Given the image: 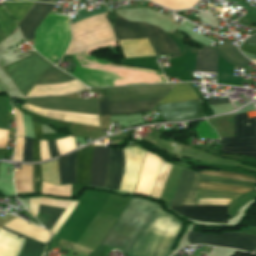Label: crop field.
Listing matches in <instances>:
<instances>
[{"mask_svg": "<svg viewBox=\"0 0 256 256\" xmlns=\"http://www.w3.org/2000/svg\"><path fill=\"white\" fill-rule=\"evenodd\" d=\"M73 40L66 54H73L116 42L114 32L106 19V12L72 24ZM90 51L75 54L74 76L92 87L138 85L167 82L163 74L114 66L89 56Z\"/></svg>", "mask_w": 256, "mask_h": 256, "instance_id": "1", "label": "crop field"}, {"mask_svg": "<svg viewBox=\"0 0 256 256\" xmlns=\"http://www.w3.org/2000/svg\"><path fill=\"white\" fill-rule=\"evenodd\" d=\"M158 206L144 199L131 198L101 245L118 247L127 254ZM181 229L182 224L159 206L127 256H168Z\"/></svg>", "mask_w": 256, "mask_h": 256, "instance_id": "2", "label": "crop field"}, {"mask_svg": "<svg viewBox=\"0 0 256 256\" xmlns=\"http://www.w3.org/2000/svg\"><path fill=\"white\" fill-rule=\"evenodd\" d=\"M199 173L256 181V178L254 177L231 173V172H222V171L213 172V171L204 170ZM200 174H198L199 180H202V181H209V182H216V183H223V184H230V185H237V186H244V187H251V188L256 187V182L228 179V178H221V177H214V176H207V175H200ZM202 181H199V189H203V190L222 191V192H231V193H240V194H244L252 190L251 188H244V187H237V186H230V185H223V184H216V183H209V182H202ZM196 193H197V175L191 171L183 169L181 176L179 178L175 193L173 195L171 204L172 205H195ZM200 205H227L228 206V199H200Z\"/></svg>", "mask_w": 256, "mask_h": 256, "instance_id": "3", "label": "crop field"}, {"mask_svg": "<svg viewBox=\"0 0 256 256\" xmlns=\"http://www.w3.org/2000/svg\"><path fill=\"white\" fill-rule=\"evenodd\" d=\"M176 84L106 88L99 102L100 116L150 111Z\"/></svg>", "mask_w": 256, "mask_h": 256, "instance_id": "4", "label": "crop field"}, {"mask_svg": "<svg viewBox=\"0 0 256 256\" xmlns=\"http://www.w3.org/2000/svg\"><path fill=\"white\" fill-rule=\"evenodd\" d=\"M25 100L28 104L44 109L98 115L97 102L95 101L52 97L25 98ZM28 104H25L22 107L41 116H47L56 120L77 122L85 125L99 126L98 116L43 110Z\"/></svg>", "mask_w": 256, "mask_h": 256, "instance_id": "5", "label": "crop field"}, {"mask_svg": "<svg viewBox=\"0 0 256 256\" xmlns=\"http://www.w3.org/2000/svg\"><path fill=\"white\" fill-rule=\"evenodd\" d=\"M70 40L68 17L49 13L36 30L34 48L54 63L61 59Z\"/></svg>", "mask_w": 256, "mask_h": 256, "instance_id": "6", "label": "crop field"}, {"mask_svg": "<svg viewBox=\"0 0 256 256\" xmlns=\"http://www.w3.org/2000/svg\"><path fill=\"white\" fill-rule=\"evenodd\" d=\"M221 152L241 154L256 158V118L248 119L247 113L235 115V137L221 138Z\"/></svg>", "mask_w": 256, "mask_h": 256, "instance_id": "7", "label": "crop field"}, {"mask_svg": "<svg viewBox=\"0 0 256 256\" xmlns=\"http://www.w3.org/2000/svg\"><path fill=\"white\" fill-rule=\"evenodd\" d=\"M114 31L118 40L146 38L141 24L116 16ZM126 58L156 55L147 39L118 41Z\"/></svg>", "mask_w": 256, "mask_h": 256, "instance_id": "8", "label": "crop field"}, {"mask_svg": "<svg viewBox=\"0 0 256 256\" xmlns=\"http://www.w3.org/2000/svg\"><path fill=\"white\" fill-rule=\"evenodd\" d=\"M56 68L51 67L37 84H53L74 80V78ZM84 88L86 87L77 80L63 84L35 85L27 96L68 94Z\"/></svg>", "mask_w": 256, "mask_h": 256, "instance_id": "9", "label": "crop field"}, {"mask_svg": "<svg viewBox=\"0 0 256 256\" xmlns=\"http://www.w3.org/2000/svg\"><path fill=\"white\" fill-rule=\"evenodd\" d=\"M191 244H207L213 246L232 247L253 252L256 248V237L240 234L196 235L189 234Z\"/></svg>", "mask_w": 256, "mask_h": 256, "instance_id": "10", "label": "crop field"}, {"mask_svg": "<svg viewBox=\"0 0 256 256\" xmlns=\"http://www.w3.org/2000/svg\"><path fill=\"white\" fill-rule=\"evenodd\" d=\"M167 205V204H166ZM168 210L172 211L183 219H193L198 221L212 222V223H227V211L226 207H214V206H169ZM179 214L188 217L185 218ZM192 221V220H190Z\"/></svg>", "mask_w": 256, "mask_h": 256, "instance_id": "11", "label": "crop field"}, {"mask_svg": "<svg viewBox=\"0 0 256 256\" xmlns=\"http://www.w3.org/2000/svg\"><path fill=\"white\" fill-rule=\"evenodd\" d=\"M123 152L125 171L119 190L133 193L146 152L137 147H126Z\"/></svg>", "mask_w": 256, "mask_h": 256, "instance_id": "12", "label": "crop field"}, {"mask_svg": "<svg viewBox=\"0 0 256 256\" xmlns=\"http://www.w3.org/2000/svg\"><path fill=\"white\" fill-rule=\"evenodd\" d=\"M162 161L163 159L156 155L150 153L146 154L135 193L151 195L156 175Z\"/></svg>", "mask_w": 256, "mask_h": 256, "instance_id": "13", "label": "crop field"}, {"mask_svg": "<svg viewBox=\"0 0 256 256\" xmlns=\"http://www.w3.org/2000/svg\"><path fill=\"white\" fill-rule=\"evenodd\" d=\"M53 5L35 2L18 25L24 38L34 39L35 30L50 12Z\"/></svg>", "mask_w": 256, "mask_h": 256, "instance_id": "14", "label": "crop field"}, {"mask_svg": "<svg viewBox=\"0 0 256 256\" xmlns=\"http://www.w3.org/2000/svg\"><path fill=\"white\" fill-rule=\"evenodd\" d=\"M110 150V148L94 147L90 185L104 187Z\"/></svg>", "mask_w": 256, "mask_h": 256, "instance_id": "15", "label": "crop field"}, {"mask_svg": "<svg viewBox=\"0 0 256 256\" xmlns=\"http://www.w3.org/2000/svg\"><path fill=\"white\" fill-rule=\"evenodd\" d=\"M141 24L157 55L168 53H175L176 57L181 55L176 44L164 31L145 23Z\"/></svg>", "mask_w": 256, "mask_h": 256, "instance_id": "16", "label": "crop field"}, {"mask_svg": "<svg viewBox=\"0 0 256 256\" xmlns=\"http://www.w3.org/2000/svg\"><path fill=\"white\" fill-rule=\"evenodd\" d=\"M124 171L122 150H111L108 176L105 188L118 190Z\"/></svg>", "mask_w": 256, "mask_h": 256, "instance_id": "17", "label": "crop field"}, {"mask_svg": "<svg viewBox=\"0 0 256 256\" xmlns=\"http://www.w3.org/2000/svg\"><path fill=\"white\" fill-rule=\"evenodd\" d=\"M4 226L18 233H21L25 236H28L30 238L43 242L45 244L50 238V233L48 231L41 229L39 227L30 225L18 217L5 223Z\"/></svg>", "mask_w": 256, "mask_h": 256, "instance_id": "18", "label": "crop field"}, {"mask_svg": "<svg viewBox=\"0 0 256 256\" xmlns=\"http://www.w3.org/2000/svg\"><path fill=\"white\" fill-rule=\"evenodd\" d=\"M93 147L88 146L77 151L76 183L89 185Z\"/></svg>", "mask_w": 256, "mask_h": 256, "instance_id": "19", "label": "crop field"}, {"mask_svg": "<svg viewBox=\"0 0 256 256\" xmlns=\"http://www.w3.org/2000/svg\"><path fill=\"white\" fill-rule=\"evenodd\" d=\"M161 117L203 110L199 100L156 106Z\"/></svg>", "mask_w": 256, "mask_h": 256, "instance_id": "20", "label": "crop field"}, {"mask_svg": "<svg viewBox=\"0 0 256 256\" xmlns=\"http://www.w3.org/2000/svg\"><path fill=\"white\" fill-rule=\"evenodd\" d=\"M60 185L75 183L76 152L58 160Z\"/></svg>", "mask_w": 256, "mask_h": 256, "instance_id": "21", "label": "crop field"}, {"mask_svg": "<svg viewBox=\"0 0 256 256\" xmlns=\"http://www.w3.org/2000/svg\"><path fill=\"white\" fill-rule=\"evenodd\" d=\"M218 54L204 46L203 51L198 50L195 71L216 73Z\"/></svg>", "mask_w": 256, "mask_h": 256, "instance_id": "22", "label": "crop field"}, {"mask_svg": "<svg viewBox=\"0 0 256 256\" xmlns=\"http://www.w3.org/2000/svg\"><path fill=\"white\" fill-rule=\"evenodd\" d=\"M195 99H198V97L194 92L193 88L188 83H180V84H177L170 91V93L163 100L159 102V104L195 100Z\"/></svg>", "mask_w": 256, "mask_h": 256, "instance_id": "23", "label": "crop field"}, {"mask_svg": "<svg viewBox=\"0 0 256 256\" xmlns=\"http://www.w3.org/2000/svg\"><path fill=\"white\" fill-rule=\"evenodd\" d=\"M215 50L225 60L236 66L244 68L250 61L246 59L239 51H237L229 41L224 42Z\"/></svg>", "mask_w": 256, "mask_h": 256, "instance_id": "24", "label": "crop field"}, {"mask_svg": "<svg viewBox=\"0 0 256 256\" xmlns=\"http://www.w3.org/2000/svg\"><path fill=\"white\" fill-rule=\"evenodd\" d=\"M16 192H33L32 165H22V170L15 169Z\"/></svg>", "mask_w": 256, "mask_h": 256, "instance_id": "25", "label": "crop field"}, {"mask_svg": "<svg viewBox=\"0 0 256 256\" xmlns=\"http://www.w3.org/2000/svg\"><path fill=\"white\" fill-rule=\"evenodd\" d=\"M3 229L8 231V232H11V233H13L17 236H20V237L26 239L19 256H40L41 251H42L43 246H44L43 244H41L37 241H34V240H32L28 237H25L21 234H18L14 231H11L9 229H6V228H3Z\"/></svg>", "mask_w": 256, "mask_h": 256, "instance_id": "26", "label": "crop field"}, {"mask_svg": "<svg viewBox=\"0 0 256 256\" xmlns=\"http://www.w3.org/2000/svg\"><path fill=\"white\" fill-rule=\"evenodd\" d=\"M33 4L34 2H8L6 6L19 24Z\"/></svg>", "mask_w": 256, "mask_h": 256, "instance_id": "27", "label": "crop field"}, {"mask_svg": "<svg viewBox=\"0 0 256 256\" xmlns=\"http://www.w3.org/2000/svg\"><path fill=\"white\" fill-rule=\"evenodd\" d=\"M41 165L43 181L59 185L57 160L54 162H48Z\"/></svg>", "mask_w": 256, "mask_h": 256, "instance_id": "28", "label": "crop field"}, {"mask_svg": "<svg viewBox=\"0 0 256 256\" xmlns=\"http://www.w3.org/2000/svg\"><path fill=\"white\" fill-rule=\"evenodd\" d=\"M70 190L71 186L58 187L42 182L41 193L55 196L70 197Z\"/></svg>", "mask_w": 256, "mask_h": 256, "instance_id": "29", "label": "crop field"}, {"mask_svg": "<svg viewBox=\"0 0 256 256\" xmlns=\"http://www.w3.org/2000/svg\"><path fill=\"white\" fill-rule=\"evenodd\" d=\"M39 211L51 215L45 224V227L50 230L64 209L40 205Z\"/></svg>", "mask_w": 256, "mask_h": 256, "instance_id": "30", "label": "crop field"}, {"mask_svg": "<svg viewBox=\"0 0 256 256\" xmlns=\"http://www.w3.org/2000/svg\"><path fill=\"white\" fill-rule=\"evenodd\" d=\"M0 26L8 36L13 29L17 26L4 7H0Z\"/></svg>", "mask_w": 256, "mask_h": 256, "instance_id": "31", "label": "crop field"}, {"mask_svg": "<svg viewBox=\"0 0 256 256\" xmlns=\"http://www.w3.org/2000/svg\"><path fill=\"white\" fill-rule=\"evenodd\" d=\"M197 133L200 138L218 139L216 131L208 124L207 120L201 122V124L197 128Z\"/></svg>", "mask_w": 256, "mask_h": 256, "instance_id": "32", "label": "crop field"}, {"mask_svg": "<svg viewBox=\"0 0 256 256\" xmlns=\"http://www.w3.org/2000/svg\"><path fill=\"white\" fill-rule=\"evenodd\" d=\"M78 201H72V203L65 209L63 214L60 216L58 221L55 223V225L50 230L52 232V235L56 234L57 231L60 229L62 224L65 222V220L68 218V216L71 214V212L74 210L75 206L77 205Z\"/></svg>", "mask_w": 256, "mask_h": 256, "instance_id": "33", "label": "crop field"}, {"mask_svg": "<svg viewBox=\"0 0 256 256\" xmlns=\"http://www.w3.org/2000/svg\"><path fill=\"white\" fill-rule=\"evenodd\" d=\"M56 142L60 155L65 154L76 148L74 144V137L69 136L67 138L58 139L56 140Z\"/></svg>", "mask_w": 256, "mask_h": 256, "instance_id": "34", "label": "crop field"}, {"mask_svg": "<svg viewBox=\"0 0 256 256\" xmlns=\"http://www.w3.org/2000/svg\"><path fill=\"white\" fill-rule=\"evenodd\" d=\"M201 117H204L203 111L189 113V114H183V115H177V116H171V117H165L162 119H163V121H183V120H190V119H196V118H201Z\"/></svg>", "mask_w": 256, "mask_h": 256, "instance_id": "35", "label": "crop field"}, {"mask_svg": "<svg viewBox=\"0 0 256 256\" xmlns=\"http://www.w3.org/2000/svg\"><path fill=\"white\" fill-rule=\"evenodd\" d=\"M32 142H33V139L24 137L23 161L25 162H33L32 161Z\"/></svg>", "mask_w": 256, "mask_h": 256, "instance_id": "36", "label": "crop field"}, {"mask_svg": "<svg viewBox=\"0 0 256 256\" xmlns=\"http://www.w3.org/2000/svg\"><path fill=\"white\" fill-rule=\"evenodd\" d=\"M70 203L71 201L54 200V199L45 198V197H41V201H40V204H43V205L62 207V208H66Z\"/></svg>", "mask_w": 256, "mask_h": 256, "instance_id": "37", "label": "crop field"}, {"mask_svg": "<svg viewBox=\"0 0 256 256\" xmlns=\"http://www.w3.org/2000/svg\"><path fill=\"white\" fill-rule=\"evenodd\" d=\"M34 194H40L41 175L40 165H33Z\"/></svg>", "mask_w": 256, "mask_h": 256, "instance_id": "38", "label": "crop field"}, {"mask_svg": "<svg viewBox=\"0 0 256 256\" xmlns=\"http://www.w3.org/2000/svg\"><path fill=\"white\" fill-rule=\"evenodd\" d=\"M105 11H106L105 7L102 8V9H99V10H97V11H95V12H91V13H87L86 10L83 9V10L77 11V13H78L80 16L75 17V18H72V19H71V22L73 23V22L79 21V20H81V19H84V18L93 16V15H96V14H99V13H102V12H105Z\"/></svg>", "mask_w": 256, "mask_h": 256, "instance_id": "39", "label": "crop field"}, {"mask_svg": "<svg viewBox=\"0 0 256 256\" xmlns=\"http://www.w3.org/2000/svg\"><path fill=\"white\" fill-rule=\"evenodd\" d=\"M13 109H14V112H15L16 120H17L18 136L19 135H24V127H23L22 115H21V113L15 107H13Z\"/></svg>", "mask_w": 256, "mask_h": 256, "instance_id": "40", "label": "crop field"}, {"mask_svg": "<svg viewBox=\"0 0 256 256\" xmlns=\"http://www.w3.org/2000/svg\"><path fill=\"white\" fill-rule=\"evenodd\" d=\"M23 137L17 138L14 160L22 161Z\"/></svg>", "mask_w": 256, "mask_h": 256, "instance_id": "41", "label": "crop field"}, {"mask_svg": "<svg viewBox=\"0 0 256 256\" xmlns=\"http://www.w3.org/2000/svg\"><path fill=\"white\" fill-rule=\"evenodd\" d=\"M38 208H39V198H31L29 212L33 214L35 217H37Z\"/></svg>", "mask_w": 256, "mask_h": 256, "instance_id": "42", "label": "crop field"}, {"mask_svg": "<svg viewBox=\"0 0 256 256\" xmlns=\"http://www.w3.org/2000/svg\"><path fill=\"white\" fill-rule=\"evenodd\" d=\"M41 160L49 159L47 141H40Z\"/></svg>", "mask_w": 256, "mask_h": 256, "instance_id": "43", "label": "crop field"}, {"mask_svg": "<svg viewBox=\"0 0 256 256\" xmlns=\"http://www.w3.org/2000/svg\"><path fill=\"white\" fill-rule=\"evenodd\" d=\"M33 160L35 161H41L40 160V154H39V140L34 139L33 143Z\"/></svg>", "mask_w": 256, "mask_h": 256, "instance_id": "44", "label": "crop field"}, {"mask_svg": "<svg viewBox=\"0 0 256 256\" xmlns=\"http://www.w3.org/2000/svg\"><path fill=\"white\" fill-rule=\"evenodd\" d=\"M48 144H49V148H50L51 158L59 156V153L56 149L55 140L48 141Z\"/></svg>", "mask_w": 256, "mask_h": 256, "instance_id": "45", "label": "crop field"}, {"mask_svg": "<svg viewBox=\"0 0 256 256\" xmlns=\"http://www.w3.org/2000/svg\"><path fill=\"white\" fill-rule=\"evenodd\" d=\"M8 131L0 129V147H6Z\"/></svg>", "mask_w": 256, "mask_h": 256, "instance_id": "46", "label": "crop field"}, {"mask_svg": "<svg viewBox=\"0 0 256 256\" xmlns=\"http://www.w3.org/2000/svg\"><path fill=\"white\" fill-rule=\"evenodd\" d=\"M32 124H33L34 132H35V138L43 139L40 124L34 123V122H32Z\"/></svg>", "mask_w": 256, "mask_h": 256, "instance_id": "47", "label": "crop field"}, {"mask_svg": "<svg viewBox=\"0 0 256 256\" xmlns=\"http://www.w3.org/2000/svg\"><path fill=\"white\" fill-rule=\"evenodd\" d=\"M207 102L209 104H225V103H230L229 102V99H214V98H211V99H206Z\"/></svg>", "mask_w": 256, "mask_h": 256, "instance_id": "48", "label": "crop field"}, {"mask_svg": "<svg viewBox=\"0 0 256 256\" xmlns=\"http://www.w3.org/2000/svg\"><path fill=\"white\" fill-rule=\"evenodd\" d=\"M240 49H241V51L252 53V54L256 55V47L242 45L240 47Z\"/></svg>", "mask_w": 256, "mask_h": 256, "instance_id": "49", "label": "crop field"}, {"mask_svg": "<svg viewBox=\"0 0 256 256\" xmlns=\"http://www.w3.org/2000/svg\"><path fill=\"white\" fill-rule=\"evenodd\" d=\"M244 42L256 44V36L250 37V38L246 39Z\"/></svg>", "mask_w": 256, "mask_h": 256, "instance_id": "50", "label": "crop field"}, {"mask_svg": "<svg viewBox=\"0 0 256 256\" xmlns=\"http://www.w3.org/2000/svg\"><path fill=\"white\" fill-rule=\"evenodd\" d=\"M177 148H178V146L174 144V146L171 148V150L176 151Z\"/></svg>", "mask_w": 256, "mask_h": 256, "instance_id": "51", "label": "crop field"}, {"mask_svg": "<svg viewBox=\"0 0 256 256\" xmlns=\"http://www.w3.org/2000/svg\"><path fill=\"white\" fill-rule=\"evenodd\" d=\"M39 1H45V2H48V0H39Z\"/></svg>", "mask_w": 256, "mask_h": 256, "instance_id": "52", "label": "crop field"}, {"mask_svg": "<svg viewBox=\"0 0 256 256\" xmlns=\"http://www.w3.org/2000/svg\"><path fill=\"white\" fill-rule=\"evenodd\" d=\"M254 253L256 254V251Z\"/></svg>", "mask_w": 256, "mask_h": 256, "instance_id": "53", "label": "crop field"}, {"mask_svg": "<svg viewBox=\"0 0 256 256\" xmlns=\"http://www.w3.org/2000/svg\"><path fill=\"white\" fill-rule=\"evenodd\" d=\"M253 61V60H252ZM255 61V60H254ZM256 62V61H255Z\"/></svg>", "mask_w": 256, "mask_h": 256, "instance_id": "54", "label": "crop field"}]
</instances>
